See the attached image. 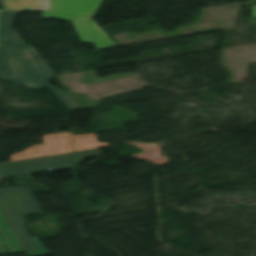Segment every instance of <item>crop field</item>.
<instances>
[{"instance_id": "crop-field-5", "label": "crop field", "mask_w": 256, "mask_h": 256, "mask_svg": "<svg viewBox=\"0 0 256 256\" xmlns=\"http://www.w3.org/2000/svg\"><path fill=\"white\" fill-rule=\"evenodd\" d=\"M44 140L45 145L34 146L24 153L16 154L12 156V160L73 151L70 133L48 135L44 137Z\"/></svg>"}, {"instance_id": "crop-field-9", "label": "crop field", "mask_w": 256, "mask_h": 256, "mask_svg": "<svg viewBox=\"0 0 256 256\" xmlns=\"http://www.w3.org/2000/svg\"><path fill=\"white\" fill-rule=\"evenodd\" d=\"M17 11L2 12L0 32L12 30L13 17Z\"/></svg>"}, {"instance_id": "crop-field-8", "label": "crop field", "mask_w": 256, "mask_h": 256, "mask_svg": "<svg viewBox=\"0 0 256 256\" xmlns=\"http://www.w3.org/2000/svg\"><path fill=\"white\" fill-rule=\"evenodd\" d=\"M0 45H26L16 31L0 33Z\"/></svg>"}, {"instance_id": "crop-field-6", "label": "crop field", "mask_w": 256, "mask_h": 256, "mask_svg": "<svg viewBox=\"0 0 256 256\" xmlns=\"http://www.w3.org/2000/svg\"><path fill=\"white\" fill-rule=\"evenodd\" d=\"M2 10H51L50 0H4Z\"/></svg>"}, {"instance_id": "crop-field-4", "label": "crop field", "mask_w": 256, "mask_h": 256, "mask_svg": "<svg viewBox=\"0 0 256 256\" xmlns=\"http://www.w3.org/2000/svg\"><path fill=\"white\" fill-rule=\"evenodd\" d=\"M98 148L57 155L45 158H39L28 161L14 162L0 165L2 176L21 174V173H32L38 171H45L49 168L52 170L79 166L84 160L89 158L98 157Z\"/></svg>"}, {"instance_id": "crop-field-7", "label": "crop field", "mask_w": 256, "mask_h": 256, "mask_svg": "<svg viewBox=\"0 0 256 256\" xmlns=\"http://www.w3.org/2000/svg\"><path fill=\"white\" fill-rule=\"evenodd\" d=\"M72 139L74 152L96 147L109 146L107 143H99L96 140V134L72 136Z\"/></svg>"}, {"instance_id": "crop-field-3", "label": "crop field", "mask_w": 256, "mask_h": 256, "mask_svg": "<svg viewBox=\"0 0 256 256\" xmlns=\"http://www.w3.org/2000/svg\"><path fill=\"white\" fill-rule=\"evenodd\" d=\"M103 0H51L52 11H43L45 17L60 19L82 18L98 50L116 47L90 19ZM82 41L92 43L81 20L73 22Z\"/></svg>"}, {"instance_id": "crop-field-2", "label": "crop field", "mask_w": 256, "mask_h": 256, "mask_svg": "<svg viewBox=\"0 0 256 256\" xmlns=\"http://www.w3.org/2000/svg\"><path fill=\"white\" fill-rule=\"evenodd\" d=\"M0 209L28 256L52 255L37 237H30L23 224L27 214H43L29 185L0 190Z\"/></svg>"}, {"instance_id": "crop-field-1", "label": "crop field", "mask_w": 256, "mask_h": 256, "mask_svg": "<svg viewBox=\"0 0 256 256\" xmlns=\"http://www.w3.org/2000/svg\"><path fill=\"white\" fill-rule=\"evenodd\" d=\"M1 79L37 91L48 87L69 111L80 109L72 96L48 83L54 77L33 46H0Z\"/></svg>"}]
</instances>
